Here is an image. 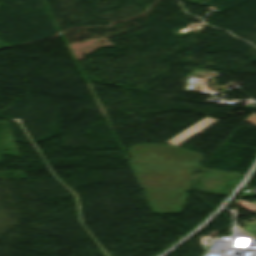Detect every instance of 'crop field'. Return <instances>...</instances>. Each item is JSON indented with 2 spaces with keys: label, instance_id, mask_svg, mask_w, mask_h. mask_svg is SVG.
<instances>
[{
  "label": "crop field",
  "instance_id": "8a807250",
  "mask_svg": "<svg viewBox=\"0 0 256 256\" xmlns=\"http://www.w3.org/2000/svg\"><path fill=\"white\" fill-rule=\"evenodd\" d=\"M153 214H180L190 190L189 168L129 162ZM171 187L174 190H171Z\"/></svg>",
  "mask_w": 256,
  "mask_h": 256
},
{
  "label": "crop field",
  "instance_id": "ac0d7876",
  "mask_svg": "<svg viewBox=\"0 0 256 256\" xmlns=\"http://www.w3.org/2000/svg\"><path fill=\"white\" fill-rule=\"evenodd\" d=\"M131 160L167 163L191 167H200L203 160L201 154L180 149L173 146H159L154 144L136 145L129 148Z\"/></svg>",
  "mask_w": 256,
  "mask_h": 256
},
{
  "label": "crop field",
  "instance_id": "34b2d1b8",
  "mask_svg": "<svg viewBox=\"0 0 256 256\" xmlns=\"http://www.w3.org/2000/svg\"><path fill=\"white\" fill-rule=\"evenodd\" d=\"M219 120H215L212 118H204L203 120L199 121L195 125L191 126L187 130L183 131L179 135L175 136L171 140L167 141L165 144L173 145V146H181L185 142L189 141L199 133L203 132L213 124L217 123Z\"/></svg>",
  "mask_w": 256,
  "mask_h": 256
},
{
  "label": "crop field",
  "instance_id": "412701ff",
  "mask_svg": "<svg viewBox=\"0 0 256 256\" xmlns=\"http://www.w3.org/2000/svg\"><path fill=\"white\" fill-rule=\"evenodd\" d=\"M242 224L245 227L244 230H246L250 233L256 232V221L255 222H245Z\"/></svg>",
  "mask_w": 256,
  "mask_h": 256
},
{
  "label": "crop field",
  "instance_id": "f4fd0767",
  "mask_svg": "<svg viewBox=\"0 0 256 256\" xmlns=\"http://www.w3.org/2000/svg\"><path fill=\"white\" fill-rule=\"evenodd\" d=\"M239 206H241L242 208H244V209H246V210H248V211H250V212L256 210L255 207H253V206H251V205H249V204H247V203H244V202H242V201L239 202Z\"/></svg>",
  "mask_w": 256,
  "mask_h": 256
},
{
  "label": "crop field",
  "instance_id": "dd49c442",
  "mask_svg": "<svg viewBox=\"0 0 256 256\" xmlns=\"http://www.w3.org/2000/svg\"><path fill=\"white\" fill-rule=\"evenodd\" d=\"M246 123L256 126V115L252 114L247 119H245Z\"/></svg>",
  "mask_w": 256,
  "mask_h": 256
},
{
  "label": "crop field",
  "instance_id": "e52e79f7",
  "mask_svg": "<svg viewBox=\"0 0 256 256\" xmlns=\"http://www.w3.org/2000/svg\"><path fill=\"white\" fill-rule=\"evenodd\" d=\"M252 235H254L256 237V233H253Z\"/></svg>",
  "mask_w": 256,
  "mask_h": 256
},
{
  "label": "crop field",
  "instance_id": "d8731c3e",
  "mask_svg": "<svg viewBox=\"0 0 256 256\" xmlns=\"http://www.w3.org/2000/svg\"><path fill=\"white\" fill-rule=\"evenodd\" d=\"M251 204H253V205H255V206H256V202H255V203H251Z\"/></svg>",
  "mask_w": 256,
  "mask_h": 256
},
{
  "label": "crop field",
  "instance_id": "5a996713",
  "mask_svg": "<svg viewBox=\"0 0 256 256\" xmlns=\"http://www.w3.org/2000/svg\"><path fill=\"white\" fill-rule=\"evenodd\" d=\"M256 215V213H254Z\"/></svg>",
  "mask_w": 256,
  "mask_h": 256
}]
</instances>
